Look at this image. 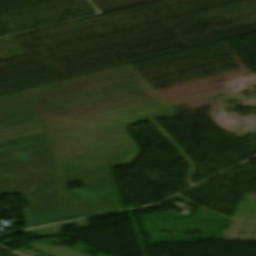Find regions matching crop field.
<instances>
[{
  "label": "crop field",
  "instance_id": "obj_1",
  "mask_svg": "<svg viewBox=\"0 0 256 256\" xmlns=\"http://www.w3.org/2000/svg\"><path fill=\"white\" fill-rule=\"evenodd\" d=\"M66 221L69 217L81 218L121 211L113 171L82 173L56 179ZM81 181L87 188L68 192L66 183Z\"/></svg>",
  "mask_w": 256,
  "mask_h": 256
},
{
  "label": "crop field",
  "instance_id": "obj_2",
  "mask_svg": "<svg viewBox=\"0 0 256 256\" xmlns=\"http://www.w3.org/2000/svg\"><path fill=\"white\" fill-rule=\"evenodd\" d=\"M49 160L51 158L45 133L0 142V169Z\"/></svg>",
  "mask_w": 256,
  "mask_h": 256
},
{
  "label": "crop field",
  "instance_id": "obj_3",
  "mask_svg": "<svg viewBox=\"0 0 256 256\" xmlns=\"http://www.w3.org/2000/svg\"><path fill=\"white\" fill-rule=\"evenodd\" d=\"M19 97V96H18ZM15 98V97H14ZM11 99V98H10ZM7 100V99H6ZM3 101V100H2ZM22 107V106H21ZM18 108V107H17ZM14 109V108H13ZM10 110V109H9ZM6 111V110H5ZM39 117V116H38ZM35 118V117H34ZM31 119V118H30ZM27 120V119H26ZM37 120V119H36ZM23 121V120H22ZM19 122V121H18ZM15 123V122H14ZM11 124V123H10Z\"/></svg>",
  "mask_w": 256,
  "mask_h": 256
},
{
  "label": "crop field",
  "instance_id": "obj_4",
  "mask_svg": "<svg viewBox=\"0 0 256 256\" xmlns=\"http://www.w3.org/2000/svg\"><path fill=\"white\" fill-rule=\"evenodd\" d=\"M139 80V79H138ZM135 81V80H134Z\"/></svg>",
  "mask_w": 256,
  "mask_h": 256
}]
</instances>
